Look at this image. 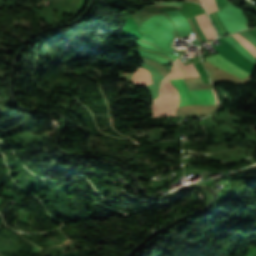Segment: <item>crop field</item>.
Wrapping results in <instances>:
<instances>
[{
	"mask_svg": "<svg viewBox=\"0 0 256 256\" xmlns=\"http://www.w3.org/2000/svg\"><path fill=\"white\" fill-rule=\"evenodd\" d=\"M227 3H228L227 0H216V5H217L218 9H221V8L224 7Z\"/></svg>",
	"mask_w": 256,
	"mask_h": 256,
	"instance_id": "crop-field-10",
	"label": "crop field"
},
{
	"mask_svg": "<svg viewBox=\"0 0 256 256\" xmlns=\"http://www.w3.org/2000/svg\"><path fill=\"white\" fill-rule=\"evenodd\" d=\"M170 81L174 86H176L179 89L178 94L180 97V101H179L178 107L185 106L186 102L188 105L189 104H206V105H215L216 104L217 96H216L214 89H213V91L215 93L216 99H215V96L211 89L189 91L186 84L183 81V78L177 79L180 87L182 88V90L184 92V95L186 98V102H185L183 92L180 89L179 85L177 84L176 80L172 79ZM217 104H218V99H217Z\"/></svg>",
	"mask_w": 256,
	"mask_h": 256,
	"instance_id": "crop-field-3",
	"label": "crop field"
},
{
	"mask_svg": "<svg viewBox=\"0 0 256 256\" xmlns=\"http://www.w3.org/2000/svg\"><path fill=\"white\" fill-rule=\"evenodd\" d=\"M208 13L213 12V11H217L216 5L214 0H202Z\"/></svg>",
	"mask_w": 256,
	"mask_h": 256,
	"instance_id": "crop-field-9",
	"label": "crop field"
},
{
	"mask_svg": "<svg viewBox=\"0 0 256 256\" xmlns=\"http://www.w3.org/2000/svg\"><path fill=\"white\" fill-rule=\"evenodd\" d=\"M170 74L163 80L160 89V96L152 105L153 116L175 115L178 105V94L169 81Z\"/></svg>",
	"mask_w": 256,
	"mask_h": 256,
	"instance_id": "crop-field-1",
	"label": "crop field"
},
{
	"mask_svg": "<svg viewBox=\"0 0 256 256\" xmlns=\"http://www.w3.org/2000/svg\"><path fill=\"white\" fill-rule=\"evenodd\" d=\"M217 14L229 34L249 28L246 25L249 22L241 10L217 11Z\"/></svg>",
	"mask_w": 256,
	"mask_h": 256,
	"instance_id": "crop-field-4",
	"label": "crop field"
},
{
	"mask_svg": "<svg viewBox=\"0 0 256 256\" xmlns=\"http://www.w3.org/2000/svg\"><path fill=\"white\" fill-rule=\"evenodd\" d=\"M176 61L182 67L185 73V77L200 76L197 70L195 69L193 63L184 66L179 59Z\"/></svg>",
	"mask_w": 256,
	"mask_h": 256,
	"instance_id": "crop-field-7",
	"label": "crop field"
},
{
	"mask_svg": "<svg viewBox=\"0 0 256 256\" xmlns=\"http://www.w3.org/2000/svg\"><path fill=\"white\" fill-rule=\"evenodd\" d=\"M233 37L238 40L241 45L246 48L255 58H256V48L249 43L247 40H245L244 38H242L240 35L236 34L233 35Z\"/></svg>",
	"mask_w": 256,
	"mask_h": 256,
	"instance_id": "crop-field-8",
	"label": "crop field"
},
{
	"mask_svg": "<svg viewBox=\"0 0 256 256\" xmlns=\"http://www.w3.org/2000/svg\"><path fill=\"white\" fill-rule=\"evenodd\" d=\"M132 81L136 84H151L150 72L146 69L139 68L132 77Z\"/></svg>",
	"mask_w": 256,
	"mask_h": 256,
	"instance_id": "crop-field-6",
	"label": "crop field"
},
{
	"mask_svg": "<svg viewBox=\"0 0 256 256\" xmlns=\"http://www.w3.org/2000/svg\"><path fill=\"white\" fill-rule=\"evenodd\" d=\"M171 19L174 21L180 37L193 35L188 21L183 16L171 17Z\"/></svg>",
	"mask_w": 256,
	"mask_h": 256,
	"instance_id": "crop-field-5",
	"label": "crop field"
},
{
	"mask_svg": "<svg viewBox=\"0 0 256 256\" xmlns=\"http://www.w3.org/2000/svg\"><path fill=\"white\" fill-rule=\"evenodd\" d=\"M212 45V44H211ZM213 46V45H212ZM214 47V46H213ZM215 48V47H214ZM219 54L226 57L233 63L237 64L238 66L242 67L243 69L247 70L248 72L252 73V67L248 66L247 64L243 63L240 59H238L234 54H232L227 48H225L222 44L215 48ZM214 55L207 58L208 61L213 63L214 65L220 67L221 69L243 79L247 75L248 72L243 70L242 68L238 67L237 65L233 64L229 60L225 59L221 55Z\"/></svg>",
	"mask_w": 256,
	"mask_h": 256,
	"instance_id": "crop-field-2",
	"label": "crop field"
}]
</instances>
